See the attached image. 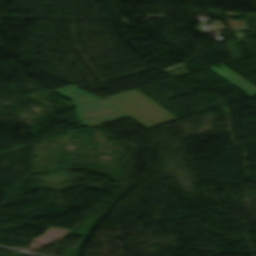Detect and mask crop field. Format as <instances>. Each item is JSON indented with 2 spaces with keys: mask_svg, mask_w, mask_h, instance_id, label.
Listing matches in <instances>:
<instances>
[{
  "mask_svg": "<svg viewBox=\"0 0 256 256\" xmlns=\"http://www.w3.org/2000/svg\"><path fill=\"white\" fill-rule=\"evenodd\" d=\"M106 100L146 128L176 119L137 90Z\"/></svg>",
  "mask_w": 256,
  "mask_h": 256,
  "instance_id": "1",
  "label": "crop field"
},
{
  "mask_svg": "<svg viewBox=\"0 0 256 256\" xmlns=\"http://www.w3.org/2000/svg\"><path fill=\"white\" fill-rule=\"evenodd\" d=\"M111 104V103H110ZM77 105V104H76ZM115 107V106H114ZM122 118V117H121ZM117 119H119V118H117ZM117 119H113V120H109V121H106V122H102V123H98V124H94V125H99V124H103V123H107V122H111V121H114V120H117ZM90 126H92V125H90Z\"/></svg>",
  "mask_w": 256,
  "mask_h": 256,
  "instance_id": "2",
  "label": "crop field"
}]
</instances>
